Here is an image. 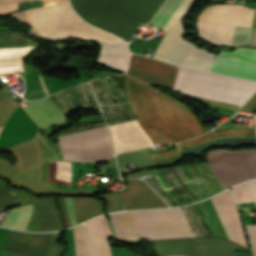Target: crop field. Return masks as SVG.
<instances>
[{"label": "crop field", "mask_w": 256, "mask_h": 256, "mask_svg": "<svg viewBox=\"0 0 256 256\" xmlns=\"http://www.w3.org/2000/svg\"><path fill=\"white\" fill-rule=\"evenodd\" d=\"M173 90L196 98L242 106L256 92V82L226 77L206 71L179 68ZM207 100L201 101L209 105L235 110L240 108L239 106Z\"/></svg>", "instance_id": "5"}, {"label": "crop field", "mask_w": 256, "mask_h": 256, "mask_svg": "<svg viewBox=\"0 0 256 256\" xmlns=\"http://www.w3.org/2000/svg\"><path fill=\"white\" fill-rule=\"evenodd\" d=\"M177 68L160 61L133 54L127 73L145 83L161 85L171 90Z\"/></svg>", "instance_id": "11"}, {"label": "crop field", "mask_w": 256, "mask_h": 256, "mask_svg": "<svg viewBox=\"0 0 256 256\" xmlns=\"http://www.w3.org/2000/svg\"><path fill=\"white\" fill-rule=\"evenodd\" d=\"M22 106L41 128L66 120V116L48 97L37 101L22 102Z\"/></svg>", "instance_id": "15"}, {"label": "crop field", "mask_w": 256, "mask_h": 256, "mask_svg": "<svg viewBox=\"0 0 256 256\" xmlns=\"http://www.w3.org/2000/svg\"><path fill=\"white\" fill-rule=\"evenodd\" d=\"M59 234L60 232L53 234L50 240L49 251L47 256H59L64 252L63 246L58 244Z\"/></svg>", "instance_id": "25"}, {"label": "crop field", "mask_w": 256, "mask_h": 256, "mask_svg": "<svg viewBox=\"0 0 256 256\" xmlns=\"http://www.w3.org/2000/svg\"><path fill=\"white\" fill-rule=\"evenodd\" d=\"M244 136H256L255 129H224L207 133L197 139L186 141L184 143L177 144L180 150L187 149L199 144L210 142L222 137H244Z\"/></svg>", "instance_id": "18"}, {"label": "crop field", "mask_w": 256, "mask_h": 256, "mask_svg": "<svg viewBox=\"0 0 256 256\" xmlns=\"http://www.w3.org/2000/svg\"><path fill=\"white\" fill-rule=\"evenodd\" d=\"M76 256H89L85 228L79 225L73 228Z\"/></svg>", "instance_id": "22"}, {"label": "crop field", "mask_w": 256, "mask_h": 256, "mask_svg": "<svg viewBox=\"0 0 256 256\" xmlns=\"http://www.w3.org/2000/svg\"><path fill=\"white\" fill-rule=\"evenodd\" d=\"M242 110L256 112V94L250 99V101L242 108ZM256 118V114L254 115Z\"/></svg>", "instance_id": "29"}, {"label": "crop field", "mask_w": 256, "mask_h": 256, "mask_svg": "<svg viewBox=\"0 0 256 256\" xmlns=\"http://www.w3.org/2000/svg\"><path fill=\"white\" fill-rule=\"evenodd\" d=\"M181 0H166L154 18L148 23L159 29L164 25ZM193 0H182L162 27L167 31L153 57L162 61L190 67L197 47L181 39L183 34L180 17ZM214 54L198 49L191 67L210 70Z\"/></svg>", "instance_id": "6"}, {"label": "crop field", "mask_w": 256, "mask_h": 256, "mask_svg": "<svg viewBox=\"0 0 256 256\" xmlns=\"http://www.w3.org/2000/svg\"><path fill=\"white\" fill-rule=\"evenodd\" d=\"M118 240L195 237L181 208L108 215Z\"/></svg>", "instance_id": "4"}, {"label": "crop field", "mask_w": 256, "mask_h": 256, "mask_svg": "<svg viewBox=\"0 0 256 256\" xmlns=\"http://www.w3.org/2000/svg\"><path fill=\"white\" fill-rule=\"evenodd\" d=\"M1 225L25 230L33 212L32 204L19 205L13 209H7Z\"/></svg>", "instance_id": "19"}, {"label": "crop field", "mask_w": 256, "mask_h": 256, "mask_svg": "<svg viewBox=\"0 0 256 256\" xmlns=\"http://www.w3.org/2000/svg\"><path fill=\"white\" fill-rule=\"evenodd\" d=\"M54 198H39L38 232L63 229Z\"/></svg>", "instance_id": "17"}, {"label": "crop field", "mask_w": 256, "mask_h": 256, "mask_svg": "<svg viewBox=\"0 0 256 256\" xmlns=\"http://www.w3.org/2000/svg\"><path fill=\"white\" fill-rule=\"evenodd\" d=\"M125 210L168 207L142 180L128 179V188L117 193Z\"/></svg>", "instance_id": "13"}, {"label": "crop field", "mask_w": 256, "mask_h": 256, "mask_svg": "<svg viewBox=\"0 0 256 256\" xmlns=\"http://www.w3.org/2000/svg\"><path fill=\"white\" fill-rule=\"evenodd\" d=\"M107 202L109 212L122 210V207L114 194L102 195Z\"/></svg>", "instance_id": "26"}, {"label": "crop field", "mask_w": 256, "mask_h": 256, "mask_svg": "<svg viewBox=\"0 0 256 256\" xmlns=\"http://www.w3.org/2000/svg\"><path fill=\"white\" fill-rule=\"evenodd\" d=\"M253 9L236 5H207L196 18L200 37L218 45H231L233 25L251 27ZM255 29L234 26L232 45L251 46Z\"/></svg>", "instance_id": "7"}, {"label": "crop field", "mask_w": 256, "mask_h": 256, "mask_svg": "<svg viewBox=\"0 0 256 256\" xmlns=\"http://www.w3.org/2000/svg\"><path fill=\"white\" fill-rule=\"evenodd\" d=\"M177 154H180L178 149L151 153V156H152V158H156V157H163V156H170V155H177Z\"/></svg>", "instance_id": "30"}, {"label": "crop field", "mask_w": 256, "mask_h": 256, "mask_svg": "<svg viewBox=\"0 0 256 256\" xmlns=\"http://www.w3.org/2000/svg\"><path fill=\"white\" fill-rule=\"evenodd\" d=\"M84 225L88 228L91 256H111L108 236L112 234L104 216L94 218Z\"/></svg>", "instance_id": "16"}, {"label": "crop field", "mask_w": 256, "mask_h": 256, "mask_svg": "<svg viewBox=\"0 0 256 256\" xmlns=\"http://www.w3.org/2000/svg\"><path fill=\"white\" fill-rule=\"evenodd\" d=\"M229 239L247 248L237 210L229 191L211 198Z\"/></svg>", "instance_id": "14"}, {"label": "crop field", "mask_w": 256, "mask_h": 256, "mask_svg": "<svg viewBox=\"0 0 256 256\" xmlns=\"http://www.w3.org/2000/svg\"><path fill=\"white\" fill-rule=\"evenodd\" d=\"M85 21L130 41L139 24H147L164 0H70Z\"/></svg>", "instance_id": "3"}, {"label": "crop field", "mask_w": 256, "mask_h": 256, "mask_svg": "<svg viewBox=\"0 0 256 256\" xmlns=\"http://www.w3.org/2000/svg\"><path fill=\"white\" fill-rule=\"evenodd\" d=\"M57 199H58V203H59V206H60L63 222H64L66 228H68V227L71 226V224H70V220H69L65 200H64V198H57Z\"/></svg>", "instance_id": "28"}, {"label": "crop field", "mask_w": 256, "mask_h": 256, "mask_svg": "<svg viewBox=\"0 0 256 256\" xmlns=\"http://www.w3.org/2000/svg\"><path fill=\"white\" fill-rule=\"evenodd\" d=\"M52 234H28L11 230L4 252L19 256H45Z\"/></svg>", "instance_id": "12"}, {"label": "crop field", "mask_w": 256, "mask_h": 256, "mask_svg": "<svg viewBox=\"0 0 256 256\" xmlns=\"http://www.w3.org/2000/svg\"><path fill=\"white\" fill-rule=\"evenodd\" d=\"M27 38L6 30L0 31V47L26 46Z\"/></svg>", "instance_id": "23"}, {"label": "crop field", "mask_w": 256, "mask_h": 256, "mask_svg": "<svg viewBox=\"0 0 256 256\" xmlns=\"http://www.w3.org/2000/svg\"><path fill=\"white\" fill-rule=\"evenodd\" d=\"M20 194L21 192L8 190L6 184L0 182V209L12 205Z\"/></svg>", "instance_id": "24"}, {"label": "crop field", "mask_w": 256, "mask_h": 256, "mask_svg": "<svg viewBox=\"0 0 256 256\" xmlns=\"http://www.w3.org/2000/svg\"><path fill=\"white\" fill-rule=\"evenodd\" d=\"M236 203L253 202L256 205V180L231 189Z\"/></svg>", "instance_id": "21"}, {"label": "crop field", "mask_w": 256, "mask_h": 256, "mask_svg": "<svg viewBox=\"0 0 256 256\" xmlns=\"http://www.w3.org/2000/svg\"><path fill=\"white\" fill-rule=\"evenodd\" d=\"M211 71L256 80V50H222L215 58Z\"/></svg>", "instance_id": "10"}, {"label": "crop field", "mask_w": 256, "mask_h": 256, "mask_svg": "<svg viewBox=\"0 0 256 256\" xmlns=\"http://www.w3.org/2000/svg\"><path fill=\"white\" fill-rule=\"evenodd\" d=\"M27 0H0V15L17 9V3ZM49 4L68 2L48 1ZM32 26L41 36L64 39L69 36L92 39L102 44L99 62L126 70L129 51L123 40L84 23L70 8L68 3L47 5L24 11Z\"/></svg>", "instance_id": "2"}, {"label": "crop field", "mask_w": 256, "mask_h": 256, "mask_svg": "<svg viewBox=\"0 0 256 256\" xmlns=\"http://www.w3.org/2000/svg\"><path fill=\"white\" fill-rule=\"evenodd\" d=\"M74 202L77 224L102 214L100 202L92 198H74Z\"/></svg>", "instance_id": "20"}, {"label": "crop field", "mask_w": 256, "mask_h": 256, "mask_svg": "<svg viewBox=\"0 0 256 256\" xmlns=\"http://www.w3.org/2000/svg\"><path fill=\"white\" fill-rule=\"evenodd\" d=\"M249 236L253 256H256V226L245 225Z\"/></svg>", "instance_id": "27"}, {"label": "crop field", "mask_w": 256, "mask_h": 256, "mask_svg": "<svg viewBox=\"0 0 256 256\" xmlns=\"http://www.w3.org/2000/svg\"><path fill=\"white\" fill-rule=\"evenodd\" d=\"M208 163L224 189L256 178V149L209 152Z\"/></svg>", "instance_id": "9"}, {"label": "crop field", "mask_w": 256, "mask_h": 256, "mask_svg": "<svg viewBox=\"0 0 256 256\" xmlns=\"http://www.w3.org/2000/svg\"><path fill=\"white\" fill-rule=\"evenodd\" d=\"M58 138L64 160L93 162L114 157L106 126Z\"/></svg>", "instance_id": "8"}, {"label": "crop field", "mask_w": 256, "mask_h": 256, "mask_svg": "<svg viewBox=\"0 0 256 256\" xmlns=\"http://www.w3.org/2000/svg\"><path fill=\"white\" fill-rule=\"evenodd\" d=\"M133 112L154 143L181 142L205 132L190 109L177 100L127 76Z\"/></svg>", "instance_id": "1"}]
</instances>
